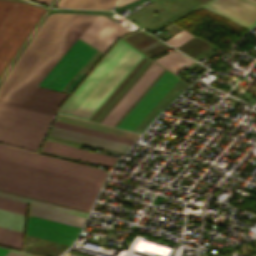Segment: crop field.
Returning <instances> with one entry per match:
<instances>
[{
  "mask_svg": "<svg viewBox=\"0 0 256 256\" xmlns=\"http://www.w3.org/2000/svg\"><path fill=\"white\" fill-rule=\"evenodd\" d=\"M98 15H49L0 87V98L22 104Z\"/></svg>",
  "mask_w": 256,
  "mask_h": 256,
  "instance_id": "crop-field-1",
  "label": "crop field"
},
{
  "mask_svg": "<svg viewBox=\"0 0 256 256\" xmlns=\"http://www.w3.org/2000/svg\"><path fill=\"white\" fill-rule=\"evenodd\" d=\"M102 184L0 159V189L89 211Z\"/></svg>",
  "mask_w": 256,
  "mask_h": 256,
  "instance_id": "crop-field-2",
  "label": "crop field"
},
{
  "mask_svg": "<svg viewBox=\"0 0 256 256\" xmlns=\"http://www.w3.org/2000/svg\"><path fill=\"white\" fill-rule=\"evenodd\" d=\"M144 56L120 39L58 112L89 120Z\"/></svg>",
  "mask_w": 256,
  "mask_h": 256,
  "instance_id": "crop-field-3",
  "label": "crop field"
},
{
  "mask_svg": "<svg viewBox=\"0 0 256 256\" xmlns=\"http://www.w3.org/2000/svg\"><path fill=\"white\" fill-rule=\"evenodd\" d=\"M43 12L41 8L0 0V74Z\"/></svg>",
  "mask_w": 256,
  "mask_h": 256,
  "instance_id": "crop-field-4",
  "label": "crop field"
},
{
  "mask_svg": "<svg viewBox=\"0 0 256 256\" xmlns=\"http://www.w3.org/2000/svg\"><path fill=\"white\" fill-rule=\"evenodd\" d=\"M52 117L0 104V142L37 150Z\"/></svg>",
  "mask_w": 256,
  "mask_h": 256,
  "instance_id": "crop-field-5",
  "label": "crop field"
},
{
  "mask_svg": "<svg viewBox=\"0 0 256 256\" xmlns=\"http://www.w3.org/2000/svg\"><path fill=\"white\" fill-rule=\"evenodd\" d=\"M0 158L102 183L104 170L1 145Z\"/></svg>",
  "mask_w": 256,
  "mask_h": 256,
  "instance_id": "crop-field-6",
  "label": "crop field"
},
{
  "mask_svg": "<svg viewBox=\"0 0 256 256\" xmlns=\"http://www.w3.org/2000/svg\"><path fill=\"white\" fill-rule=\"evenodd\" d=\"M95 51L77 40L39 85L62 91Z\"/></svg>",
  "mask_w": 256,
  "mask_h": 256,
  "instance_id": "crop-field-7",
  "label": "crop field"
},
{
  "mask_svg": "<svg viewBox=\"0 0 256 256\" xmlns=\"http://www.w3.org/2000/svg\"><path fill=\"white\" fill-rule=\"evenodd\" d=\"M178 79L166 70L117 127L132 131Z\"/></svg>",
  "mask_w": 256,
  "mask_h": 256,
  "instance_id": "crop-field-8",
  "label": "crop field"
},
{
  "mask_svg": "<svg viewBox=\"0 0 256 256\" xmlns=\"http://www.w3.org/2000/svg\"><path fill=\"white\" fill-rule=\"evenodd\" d=\"M202 7L248 29L256 23V4L247 0H211Z\"/></svg>",
  "mask_w": 256,
  "mask_h": 256,
  "instance_id": "crop-field-9",
  "label": "crop field"
},
{
  "mask_svg": "<svg viewBox=\"0 0 256 256\" xmlns=\"http://www.w3.org/2000/svg\"><path fill=\"white\" fill-rule=\"evenodd\" d=\"M128 32L108 18L98 16L79 39L104 53L117 37Z\"/></svg>",
  "mask_w": 256,
  "mask_h": 256,
  "instance_id": "crop-field-10",
  "label": "crop field"
},
{
  "mask_svg": "<svg viewBox=\"0 0 256 256\" xmlns=\"http://www.w3.org/2000/svg\"><path fill=\"white\" fill-rule=\"evenodd\" d=\"M162 70L153 62L101 123L113 126Z\"/></svg>",
  "mask_w": 256,
  "mask_h": 256,
  "instance_id": "crop-field-11",
  "label": "crop field"
},
{
  "mask_svg": "<svg viewBox=\"0 0 256 256\" xmlns=\"http://www.w3.org/2000/svg\"><path fill=\"white\" fill-rule=\"evenodd\" d=\"M79 231V228L30 216L27 234L71 244Z\"/></svg>",
  "mask_w": 256,
  "mask_h": 256,
  "instance_id": "crop-field-12",
  "label": "crop field"
},
{
  "mask_svg": "<svg viewBox=\"0 0 256 256\" xmlns=\"http://www.w3.org/2000/svg\"><path fill=\"white\" fill-rule=\"evenodd\" d=\"M66 94L36 88L22 105L0 100V103L48 114L54 115L58 105L66 97Z\"/></svg>",
  "mask_w": 256,
  "mask_h": 256,
  "instance_id": "crop-field-13",
  "label": "crop field"
},
{
  "mask_svg": "<svg viewBox=\"0 0 256 256\" xmlns=\"http://www.w3.org/2000/svg\"><path fill=\"white\" fill-rule=\"evenodd\" d=\"M43 151L112 167L118 158L47 141Z\"/></svg>",
  "mask_w": 256,
  "mask_h": 256,
  "instance_id": "crop-field-14",
  "label": "crop field"
},
{
  "mask_svg": "<svg viewBox=\"0 0 256 256\" xmlns=\"http://www.w3.org/2000/svg\"><path fill=\"white\" fill-rule=\"evenodd\" d=\"M51 135L72 140V141H77V142L97 146V147H102V148L122 152V153H125L127 149L130 147L129 145L85 135V134H81V133H77V132H73V131H69V130H65L57 127H54Z\"/></svg>",
  "mask_w": 256,
  "mask_h": 256,
  "instance_id": "crop-field-15",
  "label": "crop field"
},
{
  "mask_svg": "<svg viewBox=\"0 0 256 256\" xmlns=\"http://www.w3.org/2000/svg\"><path fill=\"white\" fill-rule=\"evenodd\" d=\"M29 215L79 227V228L82 227L83 222L85 220L84 218H80V217H76V216H72V215H68V214H64V213H60V212L32 206V205L30 207Z\"/></svg>",
  "mask_w": 256,
  "mask_h": 256,
  "instance_id": "crop-field-16",
  "label": "crop field"
},
{
  "mask_svg": "<svg viewBox=\"0 0 256 256\" xmlns=\"http://www.w3.org/2000/svg\"><path fill=\"white\" fill-rule=\"evenodd\" d=\"M154 61L161 64L175 75L193 63V61L175 51L168 53Z\"/></svg>",
  "mask_w": 256,
  "mask_h": 256,
  "instance_id": "crop-field-17",
  "label": "crop field"
},
{
  "mask_svg": "<svg viewBox=\"0 0 256 256\" xmlns=\"http://www.w3.org/2000/svg\"><path fill=\"white\" fill-rule=\"evenodd\" d=\"M117 0H60L57 7L111 9Z\"/></svg>",
  "mask_w": 256,
  "mask_h": 256,
  "instance_id": "crop-field-18",
  "label": "crop field"
},
{
  "mask_svg": "<svg viewBox=\"0 0 256 256\" xmlns=\"http://www.w3.org/2000/svg\"><path fill=\"white\" fill-rule=\"evenodd\" d=\"M25 216L0 210V226L23 232Z\"/></svg>",
  "mask_w": 256,
  "mask_h": 256,
  "instance_id": "crop-field-19",
  "label": "crop field"
},
{
  "mask_svg": "<svg viewBox=\"0 0 256 256\" xmlns=\"http://www.w3.org/2000/svg\"><path fill=\"white\" fill-rule=\"evenodd\" d=\"M23 233L0 227V245L21 250Z\"/></svg>",
  "mask_w": 256,
  "mask_h": 256,
  "instance_id": "crop-field-20",
  "label": "crop field"
},
{
  "mask_svg": "<svg viewBox=\"0 0 256 256\" xmlns=\"http://www.w3.org/2000/svg\"><path fill=\"white\" fill-rule=\"evenodd\" d=\"M0 196L5 197V198H9V199H13V200H17V201H21V202H25V203H28V204H32V205H36V206H40V207H44V208H48V209H52V210H56V211H60V212L80 216V217H84V218H86L87 215H88L86 213H82V212H78V211H74V210H70V209H66V208H62V207H58V206H54V205H50V204L30 200V199H26V198L14 196V195L2 193V192H0Z\"/></svg>",
  "mask_w": 256,
  "mask_h": 256,
  "instance_id": "crop-field-21",
  "label": "crop field"
},
{
  "mask_svg": "<svg viewBox=\"0 0 256 256\" xmlns=\"http://www.w3.org/2000/svg\"><path fill=\"white\" fill-rule=\"evenodd\" d=\"M53 125L62 127V128H66V129H70V130H74V131H78V132H82V133H86V134H90V135H94V136H98V137H102V138H106V139H110V140H114V141H118V142H122V143H126V144H130V145H132L134 142L133 140H129V139L93 131V130H89V129H85V128H81V127H77V126H73V125H69V124H65V123H61V122H57V121H55Z\"/></svg>",
  "mask_w": 256,
  "mask_h": 256,
  "instance_id": "crop-field-22",
  "label": "crop field"
},
{
  "mask_svg": "<svg viewBox=\"0 0 256 256\" xmlns=\"http://www.w3.org/2000/svg\"><path fill=\"white\" fill-rule=\"evenodd\" d=\"M27 204L0 198V209L25 215Z\"/></svg>",
  "mask_w": 256,
  "mask_h": 256,
  "instance_id": "crop-field-23",
  "label": "crop field"
},
{
  "mask_svg": "<svg viewBox=\"0 0 256 256\" xmlns=\"http://www.w3.org/2000/svg\"><path fill=\"white\" fill-rule=\"evenodd\" d=\"M193 36H191L188 32L186 31H181L180 33L176 34L172 38L168 39L167 42L168 44L172 45L173 47H178L179 45L183 44L187 40L191 39Z\"/></svg>",
  "mask_w": 256,
  "mask_h": 256,
  "instance_id": "crop-field-24",
  "label": "crop field"
},
{
  "mask_svg": "<svg viewBox=\"0 0 256 256\" xmlns=\"http://www.w3.org/2000/svg\"><path fill=\"white\" fill-rule=\"evenodd\" d=\"M152 61L148 64V66L140 73V75L132 82V84L125 90V92L117 99V101L109 108V110L101 117L98 121L100 123L102 119L109 113V111L116 105V103L123 97V95L129 90V88L136 82V80L143 74V72L150 66Z\"/></svg>",
  "mask_w": 256,
  "mask_h": 256,
  "instance_id": "crop-field-25",
  "label": "crop field"
},
{
  "mask_svg": "<svg viewBox=\"0 0 256 256\" xmlns=\"http://www.w3.org/2000/svg\"><path fill=\"white\" fill-rule=\"evenodd\" d=\"M6 256H31L30 254L10 250Z\"/></svg>",
  "mask_w": 256,
  "mask_h": 256,
  "instance_id": "crop-field-26",
  "label": "crop field"
},
{
  "mask_svg": "<svg viewBox=\"0 0 256 256\" xmlns=\"http://www.w3.org/2000/svg\"><path fill=\"white\" fill-rule=\"evenodd\" d=\"M134 1H136V0H119L118 4L116 5V8L126 5L128 3L134 2Z\"/></svg>",
  "mask_w": 256,
  "mask_h": 256,
  "instance_id": "crop-field-27",
  "label": "crop field"
},
{
  "mask_svg": "<svg viewBox=\"0 0 256 256\" xmlns=\"http://www.w3.org/2000/svg\"><path fill=\"white\" fill-rule=\"evenodd\" d=\"M8 251H9V249H5V248L0 247V256H5Z\"/></svg>",
  "mask_w": 256,
  "mask_h": 256,
  "instance_id": "crop-field-28",
  "label": "crop field"
},
{
  "mask_svg": "<svg viewBox=\"0 0 256 256\" xmlns=\"http://www.w3.org/2000/svg\"><path fill=\"white\" fill-rule=\"evenodd\" d=\"M34 1L47 4V3H49L51 0H34Z\"/></svg>",
  "mask_w": 256,
  "mask_h": 256,
  "instance_id": "crop-field-29",
  "label": "crop field"
},
{
  "mask_svg": "<svg viewBox=\"0 0 256 256\" xmlns=\"http://www.w3.org/2000/svg\"><path fill=\"white\" fill-rule=\"evenodd\" d=\"M250 1H252V2L256 3V0H250Z\"/></svg>",
  "mask_w": 256,
  "mask_h": 256,
  "instance_id": "crop-field-30",
  "label": "crop field"
},
{
  "mask_svg": "<svg viewBox=\"0 0 256 256\" xmlns=\"http://www.w3.org/2000/svg\"><path fill=\"white\" fill-rule=\"evenodd\" d=\"M32 256H34V255H32Z\"/></svg>",
  "mask_w": 256,
  "mask_h": 256,
  "instance_id": "crop-field-31",
  "label": "crop field"
}]
</instances>
